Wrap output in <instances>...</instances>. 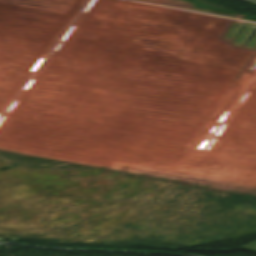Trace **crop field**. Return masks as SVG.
Instances as JSON below:
<instances>
[{
    "instance_id": "8a807250",
    "label": "crop field",
    "mask_w": 256,
    "mask_h": 256,
    "mask_svg": "<svg viewBox=\"0 0 256 256\" xmlns=\"http://www.w3.org/2000/svg\"><path fill=\"white\" fill-rule=\"evenodd\" d=\"M241 250H252V251H256V241L253 243H250L242 248H240Z\"/></svg>"
},
{
    "instance_id": "ac0d7876",
    "label": "crop field",
    "mask_w": 256,
    "mask_h": 256,
    "mask_svg": "<svg viewBox=\"0 0 256 256\" xmlns=\"http://www.w3.org/2000/svg\"><path fill=\"white\" fill-rule=\"evenodd\" d=\"M244 1L256 4V0H244Z\"/></svg>"
}]
</instances>
